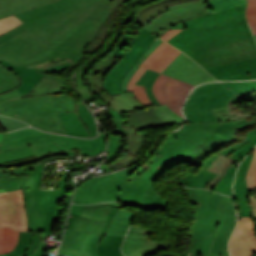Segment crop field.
Returning a JSON list of instances; mask_svg holds the SVG:
<instances>
[{"label": "crop field", "mask_w": 256, "mask_h": 256, "mask_svg": "<svg viewBox=\"0 0 256 256\" xmlns=\"http://www.w3.org/2000/svg\"><path fill=\"white\" fill-rule=\"evenodd\" d=\"M125 0H60L16 14L24 23L0 36V59L15 66L48 58L76 64ZM21 83L0 65V94Z\"/></svg>", "instance_id": "obj_1"}, {"label": "crop field", "mask_w": 256, "mask_h": 256, "mask_svg": "<svg viewBox=\"0 0 256 256\" xmlns=\"http://www.w3.org/2000/svg\"><path fill=\"white\" fill-rule=\"evenodd\" d=\"M245 7L242 4L182 22L187 28L167 42L185 51L205 69L254 58L256 43L247 25Z\"/></svg>", "instance_id": "obj_2"}, {"label": "crop field", "mask_w": 256, "mask_h": 256, "mask_svg": "<svg viewBox=\"0 0 256 256\" xmlns=\"http://www.w3.org/2000/svg\"><path fill=\"white\" fill-rule=\"evenodd\" d=\"M220 123L185 124L178 131L169 133L150 160L157 166L150 167L136 180L126 184L118 194L119 201L145 210L165 209L169 199H163L161 193L156 191V178L170 166L190 155Z\"/></svg>", "instance_id": "obj_3"}, {"label": "crop field", "mask_w": 256, "mask_h": 256, "mask_svg": "<svg viewBox=\"0 0 256 256\" xmlns=\"http://www.w3.org/2000/svg\"><path fill=\"white\" fill-rule=\"evenodd\" d=\"M43 165L44 163L39 165L38 171L30 173L22 187L28 219V231L34 232L32 244L23 254L25 256H47L43 252V239L47 238L48 235L54 234L56 235L55 239L60 240L64 229L66 216L62 220L61 232H51L53 223L58 221L62 210L57 203L63 198L68 189L67 176L61 175L59 191L39 190ZM72 191L68 193V197L63 202L66 208H68Z\"/></svg>", "instance_id": "obj_4"}, {"label": "crop field", "mask_w": 256, "mask_h": 256, "mask_svg": "<svg viewBox=\"0 0 256 256\" xmlns=\"http://www.w3.org/2000/svg\"><path fill=\"white\" fill-rule=\"evenodd\" d=\"M76 111L68 95H43L24 98L16 89L0 95V113L25 121L48 132L65 134L57 112Z\"/></svg>", "instance_id": "obj_5"}, {"label": "crop field", "mask_w": 256, "mask_h": 256, "mask_svg": "<svg viewBox=\"0 0 256 256\" xmlns=\"http://www.w3.org/2000/svg\"><path fill=\"white\" fill-rule=\"evenodd\" d=\"M27 144L30 145L36 157L33 156L34 158L5 163L3 166L38 160L51 153H71L94 156L104 151V136L99 133V137L95 139L82 140L43 133L33 128H25L5 134L0 145V152Z\"/></svg>", "instance_id": "obj_6"}, {"label": "crop field", "mask_w": 256, "mask_h": 256, "mask_svg": "<svg viewBox=\"0 0 256 256\" xmlns=\"http://www.w3.org/2000/svg\"><path fill=\"white\" fill-rule=\"evenodd\" d=\"M209 0H159L136 8V22L158 37L169 29L185 28L180 22L211 12L205 6Z\"/></svg>", "instance_id": "obj_7"}, {"label": "crop field", "mask_w": 256, "mask_h": 256, "mask_svg": "<svg viewBox=\"0 0 256 256\" xmlns=\"http://www.w3.org/2000/svg\"><path fill=\"white\" fill-rule=\"evenodd\" d=\"M141 164L142 162H139L121 171L85 181L77 190L73 203L93 204L105 201L119 202L117 199L119 190L132 179L129 178L130 175Z\"/></svg>", "instance_id": "obj_8"}, {"label": "crop field", "mask_w": 256, "mask_h": 256, "mask_svg": "<svg viewBox=\"0 0 256 256\" xmlns=\"http://www.w3.org/2000/svg\"><path fill=\"white\" fill-rule=\"evenodd\" d=\"M234 94L219 82L198 86L191 91L184 106L187 123L218 121L211 108L222 107Z\"/></svg>", "instance_id": "obj_9"}, {"label": "crop field", "mask_w": 256, "mask_h": 256, "mask_svg": "<svg viewBox=\"0 0 256 256\" xmlns=\"http://www.w3.org/2000/svg\"><path fill=\"white\" fill-rule=\"evenodd\" d=\"M126 122L128 125L122 128L129 133L125 135L128 146L124 149L122 156L111 164L115 171L142 158L137 154L143 147L144 139L143 136L136 135L137 130L166 125L151 108L127 113Z\"/></svg>", "instance_id": "obj_10"}, {"label": "crop field", "mask_w": 256, "mask_h": 256, "mask_svg": "<svg viewBox=\"0 0 256 256\" xmlns=\"http://www.w3.org/2000/svg\"><path fill=\"white\" fill-rule=\"evenodd\" d=\"M191 202L198 205L195 221L188 233L189 236L204 240L214 232L221 217L215 216L218 193L185 188Z\"/></svg>", "instance_id": "obj_11"}, {"label": "crop field", "mask_w": 256, "mask_h": 256, "mask_svg": "<svg viewBox=\"0 0 256 256\" xmlns=\"http://www.w3.org/2000/svg\"><path fill=\"white\" fill-rule=\"evenodd\" d=\"M155 35L146 29H142L132 49L126 56L108 73L104 87L112 94L122 93L121 81L126 73L138 62L145 51L150 48L157 39Z\"/></svg>", "instance_id": "obj_12"}, {"label": "crop field", "mask_w": 256, "mask_h": 256, "mask_svg": "<svg viewBox=\"0 0 256 256\" xmlns=\"http://www.w3.org/2000/svg\"><path fill=\"white\" fill-rule=\"evenodd\" d=\"M120 57L113 54H109L91 73L88 81L91 85L92 92L96 93L100 97V100L112 106L115 110L119 112H129L135 111L142 108V106L133 96L132 92H127L123 94L112 95L114 100L103 97L99 90L103 89V74L108 71L111 66L119 60Z\"/></svg>", "instance_id": "obj_13"}, {"label": "crop field", "mask_w": 256, "mask_h": 256, "mask_svg": "<svg viewBox=\"0 0 256 256\" xmlns=\"http://www.w3.org/2000/svg\"><path fill=\"white\" fill-rule=\"evenodd\" d=\"M0 64L7 67L13 73H15L22 81L17 90L25 97L28 92L47 74L45 72H57L64 71L70 63L67 60L52 64L48 59L42 60L38 63L29 64L25 66L15 67L9 63L0 60Z\"/></svg>", "instance_id": "obj_14"}, {"label": "crop field", "mask_w": 256, "mask_h": 256, "mask_svg": "<svg viewBox=\"0 0 256 256\" xmlns=\"http://www.w3.org/2000/svg\"><path fill=\"white\" fill-rule=\"evenodd\" d=\"M193 87L160 74L152 87V91L160 104L166 103L173 111L182 116L181 107Z\"/></svg>", "instance_id": "obj_15"}, {"label": "crop field", "mask_w": 256, "mask_h": 256, "mask_svg": "<svg viewBox=\"0 0 256 256\" xmlns=\"http://www.w3.org/2000/svg\"><path fill=\"white\" fill-rule=\"evenodd\" d=\"M0 226L27 231L22 189L0 194Z\"/></svg>", "instance_id": "obj_16"}, {"label": "crop field", "mask_w": 256, "mask_h": 256, "mask_svg": "<svg viewBox=\"0 0 256 256\" xmlns=\"http://www.w3.org/2000/svg\"><path fill=\"white\" fill-rule=\"evenodd\" d=\"M162 73L194 86L216 80L182 53Z\"/></svg>", "instance_id": "obj_17"}, {"label": "crop field", "mask_w": 256, "mask_h": 256, "mask_svg": "<svg viewBox=\"0 0 256 256\" xmlns=\"http://www.w3.org/2000/svg\"><path fill=\"white\" fill-rule=\"evenodd\" d=\"M149 231L153 230L138 226H131L122 246L124 255L147 256L164 251L165 246L163 244L148 240L149 236L146 234Z\"/></svg>", "instance_id": "obj_18"}, {"label": "crop field", "mask_w": 256, "mask_h": 256, "mask_svg": "<svg viewBox=\"0 0 256 256\" xmlns=\"http://www.w3.org/2000/svg\"><path fill=\"white\" fill-rule=\"evenodd\" d=\"M255 124L256 115L242 119L222 122L199 146V148H203L213 152L217 146L237 140V131L243 130L248 125H251V127H253Z\"/></svg>", "instance_id": "obj_19"}, {"label": "crop field", "mask_w": 256, "mask_h": 256, "mask_svg": "<svg viewBox=\"0 0 256 256\" xmlns=\"http://www.w3.org/2000/svg\"><path fill=\"white\" fill-rule=\"evenodd\" d=\"M238 218L241 221H238L230 239V254L231 256H252V251L256 252V232L253 227V221L249 218Z\"/></svg>", "instance_id": "obj_20"}, {"label": "crop field", "mask_w": 256, "mask_h": 256, "mask_svg": "<svg viewBox=\"0 0 256 256\" xmlns=\"http://www.w3.org/2000/svg\"><path fill=\"white\" fill-rule=\"evenodd\" d=\"M238 164L239 161L228 159L220 155L208 168V170L219 175L207 184L206 189L233 196L232 181Z\"/></svg>", "instance_id": "obj_21"}, {"label": "crop field", "mask_w": 256, "mask_h": 256, "mask_svg": "<svg viewBox=\"0 0 256 256\" xmlns=\"http://www.w3.org/2000/svg\"><path fill=\"white\" fill-rule=\"evenodd\" d=\"M207 71L221 80L256 79V58L215 66Z\"/></svg>", "instance_id": "obj_22"}, {"label": "crop field", "mask_w": 256, "mask_h": 256, "mask_svg": "<svg viewBox=\"0 0 256 256\" xmlns=\"http://www.w3.org/2000/svg\"><path fill=\"white\" fill-rule=\"evenodd\" d=\"M96 235L66 229L61 253L69 256H91L90 247Z\"/></svg>", "instance_id": "obj_23"}, {"label": "crop field", "mask_w": 256, "mask_h": 256, "mask_svg": "<svg viewBox=\"0 0 256 256\" xmlns=\"http://www.w3.org/2000/svg\"><path fill=\"white\" fill-rule=\"evenodd\" d=\"M129 226L113 221L106 233L107 236L98 245L99 256H123L120 246Z\"/></svg>", "instance_id": "obj_24"}, {"label": "crop field", "mask_w": 256, "mask_h": 256, "mask_svg": "<svg viewBox=\"0 0 256 256\" xmlns=\"http://www.w3.org/2000/svg\"><path fill=\"white\" fill-rule=\"evenodd\" d=\"M253 152L254 150L251 151L240 164L234 183L236 211H240V216L249 218H251V212L246 198L248 195V190L245 182V174L250 164Z\"/></svg>", "instance_id": "obj_25"}, {"label": "crop field", "mask_w": 256, "mask_h": 256, "mask_svg": "<svg viewBox=\"0 0 256 256\" xmlns=\"http://www.w3.org/2000/svg\"><path fill=\"white\" fill-rule=\"evenodd\" d=\"M121 206L123 205H119L115 202H106L87 206H78L73 204L70 213L80 216L111 220Z\"/></svg>", "instance_id": "obj_26"}, {"label": "crop field", "mask_w": 256, "mask_h": 256, "mask_svg": "<svg viewBox=\"0 0 256 256\" xmlns=\"http://www.w3.org/2000/svg\"><path fill=\"white\" fill-rule=\"evenodd\" d=\"M235 224H236V212L233 207V198H232L223 227L212 244L211 251H210L211 254L229 255L228 249H227V241L235 227Z\"/></svg>", "instance_id": "obj_27"}, {"label": "crop field", "mask_w": 256, "mask_h": 256, "mask_svg": "<svg viewBox=\"0 0 256 256\" xmlns=\"http://www.w3.org/2000/svg\"><path fill=\"white\" fill-rule=\"evenodd\" d=\"M111 221L69 215L68 229L84 231L94 234H105Z\"/></svg>", "instance_id": "obj_28"}, {"label": "crop field", "mask_w": 256, "mask_h": 256, "mask_svg": "<svg viewBox=\"0 0 256 256\" xmlns=\"http://www.w3.org/2000/svg\"><path fill=\"white\" fill-rule=\"evenodd\" d=\"M56 0H0V18Z\"/></svg>", "instance_id": "obj_29"}, {"label": "crop field", "mask_w": 256, "mask_h": 256, "mask_svg": "<svg viewBox=\"0 0 256 256\" xmlns=\"http://www.w3.org/2000/svg\"><path fill=\"white\" fill-rule=\"evenodd\" d=\"M66 84V81L58 76L47 75L32 89L30 93H28L26 97L61 92Z\"/></svg>", "instance_id": "obj_30"}, {"label": "crop field", "mask_w": 256, "mask_h": 256, "mask_svg": "<svg viewBox=\"0 0 256 256\" xmlns=\"http://www.w3.org/2000/svg\"><path fill=\"white\" fill-rule=\"evenodd\" d=\"M58 114L66 129L67 135L89 137L88 132L77 112H62Z\"/></svg>", "instance_id": "obj_31"}, {"label": "crop field", "mask_w": 256, "mask_h": 256, "mask_svg": "<svg viewBox=\"0 0 256 256\" xmlns=\"http://www.w3.org/2000/svg\"><path fill=\"white\" fill-rule=\"evenodd\" d=\"M233 102L242 103V101L235 94L233 97L229 98V100L224 104L222 108L212 109L215 116L219 119V121L237 119V118H242V117L256 114V113H252V114L235 113L231 111L230 107H234L232 106Z\"/></svg>", "instance_id": "obj_32"}, {"label": "crop field", "mask_w": 256, "mask_h": 256, "mask_svg": "<svg viewBox=\"0 0 256 256\" xmlns=\"http://www.w3.org/2000/svg\"><path fill=\"white\" fill-rule=\"evenodd\" d=\"M146 68L140 67L136 73L132 76L130 83L128 85V91H132L136 99L144 106L152 105V102L148 98L144 86L135 84L141 75L145 72Z\"/></svg>", "instance_id": "obj_33"}, {"label": "crop field", "mask_w": 256, "mask_h": 256, "mask_svg": "<svg viewBox=\"0 0 256 256\" xmlns=\"http://www.w3.org/2000/svg\"><path fill=\"white\" fill-rule=\"evenodd\" d=\"M220 83L227 89H232L241 100L248 97L249 94L256 92V81Z\"/></svg>", "instance_id": "obj_34"}, {"label": "crop field", "mask_w": 256, "mask_h": 256, "mask_svg": "<svg viewBox=\"0 0 256 256\" xmlns=\"http://www.w3.org/2000/svg\"><path fill=\"white\" fill-rule=\"evenodd\" d=\"M30 147L27 145L18 149L0 153V165L5 162L18 161L26 158L33 157Z\"/></svg>", "instance_id": "obj_35"}, {"label": "crop field", "mask_w": 256, "mask_h": 256, "mask_svg": "<svg viewBox=\"0 0 256 256\" xmlns=\"http://www.w3.org/2000/svg\"><path fill=\"white\" fill-rule=\"evenodd\" d=\"M77 112L79 113L80 117L82 118L84 124L86 125L90 137L95 136L97 132V127L94 121V118L88 108L85 106L83 102L76 103ZM77 113V114H78Z\"/></svg>", "instance_id": "obj_36"}, {"label": "crop field", "mask_w": 256, "mask_h": 256, "mask_svg": "<svg viewBox=\"0 0 256 256\" xmlns=\"http://www.w3.org/2000/svg\"><path fill=\"white\" fill-rule=\"evenodd\" d=\"M153 111L167 124H174L184 122V118L174 113L166 104L160 105L153 109Z\"/></svg>", "instance_id": "obj_37"}, {"label": "crop field", "mask_w": 256, "mask_h": 256, "mask_svg": "<svg viewBox=\"0 0 256 256\" xmlns=\"http://www.w3.org/2000/svg\"><path fill=\"white\" fill-rule=\"evenodd\" d=\"M19 237V232L11 228H3V243L1 253L10 252L14 249Z\"/></svg>", "instance_id": "obj_38"}, {"label": "crop field", "mask_w": 256, "mask_h": 256, "mask_svg": "<svg viewBox=\"0 0 256 256\" xmlns=\"http://www.w3.org/2000/svg\"><path fill=\"white\" fill-rule=\"evenodd\" d=\"M217 174L212 173L208 170H200L197 174L193 176L190 182L187 184L189 187H197V188H204L210 180L214 179Z\"/></svg>", "instance_id": "obj_39"}, {"label": "crop field", "mask_w": 256, "mask_h": 256, "mask_svg": "<svg viewBox=\"0 0 256 256\" xmlns=\"http://www.w3.org/2000/svg\"><path fill=\"white\" fill-rule=\"evenodd\" d=\"M158 75H159V73L147 69L146 72L142 75V77L137 82V84L146 86V91H147L151 101L156 106H158L160 104L157 102V100L153 96L152 91H151V86H152L153 82L155 81V79L158 77Z\"/></svg>", "instance_id": "obj_40"}, {"label": "crop field", "mask_w": 256, "mask_h": 256, "mask_svg": "<svg viewBox=\"0 0 256 256\" xmlns=\"http://www.w3.org/2000/svg\"><path fill=\"white\" fill-rule=\"evenodd\" d=\"M108 133V155L106 158V163H108L110 160L114 159L118 153L120 152V149L122 147V138L117 135H112L111 131Z\"/></svg>", "instance_id": "obj_41"}, {"label": "crop field", "mask_w": 256, "mask_h": 256, "mask_svg": "<svg viewBox=\"0 0 256 256\" xmlns=\"http://www.w3.org/2000/svg\"><path fill=\"white\" fill-rule=\"evenodd\" d=\"M171 47L172 46L163 41L140 66L151 69Z\"/></svg>", "instance_id": "obj_42"}, {"label": "crop field", "mask_w": 256, "mask_h": 256, "mask_svg": "<svg viewBox=\"0 0 256 256\" xmlns=\"http://www.w3.org/2000/svg\"><path fill=\"white\" fill-rule=\"evenodd\" d=\"M33 233H22L20 232L19 242L11 253L0 254V256H17L25 252L29 247L32 240Z\"/></svg>", "instance_id": "obj_43"}, {"label": "crop field", "mask_w": 256, "mask_h": 256, "mask_svg": "<svg viewBox=\"0 0 256 256\" xmlns=\"http://www.w3.org/2000/svg\"><path fill=\"white\" fill-rule=\"evenodd\" d=\"M26 176H7V177H0V189L4 188L5 191H11L19 189Z\"/></svg>", "instance_id": "obj_44"}, {"label": "crop field", "mask_w": 256, "mask_h": 256, "mask_svg": "<svg viewBox=\"0 0 256 256\" xmlns=\"http://www.w3.org/2000/svg\"><path fill=\"white\" fill-rule=\"evenodd\" d=\"M242 3H246V0H211L206 6L217 12Z\"/></svg>", "instance_id": "obj_45"}, {"label": "crop field", "mask_w": 256, "mask_h": 256, "mask_svg": "<svg viewBox=\"0 0 256 256\" xmlns=\"http://www.w3.org/2000/svg\"><path fill=\"white\" fill-rule=\"evenodd\" d=\"M180 53L181 52L172 47L152 70L161 73Z\"/></svg>", "instance_id": "obj_46"}, {"label": "crop field", "mask_w": 256, "mask_h": 256, "mask_svg": "<svg viewBox=\"0 0 256 256\" xmlns=\"http://www.w3.org/2000/svg\"><path fill=\"white\" fill-rule=\"evenodd\" d=\"M162 40L159 38L154 42V44L151 46V48L145 53V55L139 60V62L129 71V73L126 75L122 82V88L123 91H127V84L131 78V76L135 73V71L138 69L139 65L152 53L154 49H156L160 44Z\"/></svg>", "instance_id": "obj_47"}, {"label": "crop field", "mask_w": 256, "mask_h": 256, "mask_svg": "<svg viewBox=\"0 0 256 256\" xmlns=\"http://www.w3.org/2000/svg\"><path fill=\"white\" fill-rule=\"evenodd\" d=\"M135 38L136 37L125 34L112 53L123 58L124 55L130 50Z\"/></svg>", "instance_id": "obj_48"}, {"label": "crop field", "mask_w": 256, "mask_h": 256, "mask_svg": "<svg viewBox=\"0 0 256 256\" xmlns=\"http://www.w3.org/2000/svg\"><path fill=\"white\" fill-rule=\"evenodd\" d=\"M36 167H37V163L26 165V166H20V167H16V168H11V169H4V167L1 166L0 176L27 175L29 171L36 170Z\"/></svg>", "instance_id": "obj_49"}, {"label": "crop field", "mask_w": 256, "mask_h": 256, "mask_svg": "<svg viewBox=\"0 0 256 256\" xmlns=\"http://www.w3.org/2000/svg\"><path fill=\"white\" fill-rule=\"evenodd\" d=\"M256 134V125L251 128V131L248 132L246 138L244 140H242L239 143L236 144H232L231 146L227 147L226 149H222L223 151L219 152L218 154H222L224 156H229L231 153H233L234 151H236L237 149H239L240 147H242L244 144H246L247 142H249L251 140V138Z\"/></svg>", "instance_id": "obj_50"}, {"label": "crop field", "mask_w": 256, "mask_h": 256, "mask_svg": "<svg viewBox=\"0 0 256 256\" xmlns=\"http://www.w3.org/2000/svg\"><path fill=\"white\" fill-rule=\"evenodd\" d=\"M97 58H95L89 65H87L78 75L77 81H78V89L80 91V93L82 94V96L84 97V99L87 101L90 100H94L95 98L89 93V91H87V89L84 87V83H83V77L85 75V73L87 72V70L90 68V66L94 63V61Z\"/></svg>", "instance_id": "obj_51"}, {"label": "crop field", "mask_w": 256, "mask_h": 256, "mask_svg": "<svg viewBox=\"0 0 256 256\" xmlns=\"http://www.w3.org/2000/svg\"><path fill=\"white\" fill-rule=\"evenodd\" d=\"M0 125L8 132L17 130L23 127H27L28 125L23 122H19L14 119H10L7 117L0 116Z\"/></svg>", "instance_id": "obj_52"}, {"label": "crop field", "mask_w": 256, "mask_h": 256, "mask_svg": "<svg viewBox=\"0 0 256 256\" xmlns=\"http://www.w3.org/2000/svg\"><path fill=\"white\" fill-rule=\"evenodd\" d=\"M209 153H212V152L197 148L196 150H194L192 152V154L190 156L186 157L181 162H188V163H190L192 165L199 166L201 159H203L206 156H208Z\"/></svg>", "instance_id": "obj_53"}, {"label": "crop field", "mask_w": 256, "mask_h": 256, "mask_svg": "<svg viewBox=\"0 0 256 256\" xmlns=\"http://www.w3.org/2000/svg\"><path fill=\"white\" fill-rule=\"evenodd\" d=\"M23 23L14 15L0 19V35Z\"/></svg>", "instance_id": "obj_54"}, {"label": "crop field", "mask_w": 256, "mask_h": 256, "mask_svg": "<svg viewBox=\"0 0 256 256\" xmlns=\"http://www.w3.org/2000/svg\"><path fill=\"white\" fill-rule=\"evenodd\" d=\"M254 109H256V106L253 107ZM256 145V135L252 138V140L247 143L246 145H244L242 148H240L239 150H237L236 152H234L232 155H230L228 158H232L235 160H239L241 161L246 155L247 153Z\"/></svg>", "instance_id": "obj_55"}, {"label": "crop field", "mask_w": 256, "mask_h": 256, "mask_svg": "<svg viewBox=\"0 0 256 256\" xmlns=\"http://www.w3.org/2000/svg\"><path fill=\"white\" fill-rule=\"evenodd\" d=\"M255 168H256V148H255V153L252 157L251 164L246 174L247 187H248V190L250 191L255 190L254 183H253V173L255 171Z\"/></svg>", "instance_id": "obj_56"}, {"label": "crop field", "mask_w": 256, "mask_h": 256, "mask_svg": "<svg viewBox=\"0 0 256 256\" xmlns=\"http://www.w3.org/2000/svg\"><path fill=\"white\" fill-rule=\"evenodd\" d=\"M246 17L254 34H256V4L248 5Z\"/></svg>", "instance_id": "obj_57"}, {"label": "crop field", "mask_w": 256, "mask_h": 256, "mask_svg": "<svg viewBox=\"0 0 256 256\" xmlns=\"http://www.w3.org/2000/svg\"><path fill=\"white\" fill-rule=\"evenodd\" d=\"M230 199H231L230 197L220 194L216 215L223 216V217L226 216Z\"/></svg>", "instance_id": "obj_58"}, {"label": "crop field", "mask_w": 256, "mask_h": 256, "mask_svg": "<svg viewBox=\"0 0 256 256\" xmlns=\"http://www.w3.org/2000/svg\"><path fill=\"white\" fill-rule=\"evenodd\" d=\"M224 219L225 218H221L220 222H219V225L216 229V231L211 234L208 238H206L204 240V245H203V251H202V254H209V251H210V247H211V244L214 240V238L216 237V235L218 234V232L220 231L221 227H222V224L224 222Z\"/></svg>", "instance_id": "obj_59"}, {"label": "crop field", "mask_w": 256, "mask_h": 256, "mask_svg": "<svg viewBox=\"0 0 256 256\" xmlns=\"http://www.w3.org/2000/svg\"><path fill=\"white\" fill-rule=\"evenodd\" d=\"M133 216H134V213H132L128 210H123L121 208L117 212V214L114 216L113 220L130 224L131 221H132Z\"/></svg>", "instance_id": "obj_60"}, {"label": "crop field", "mask_w": 256, "mask_h": 256, "mask_svg": "<svg viewBox=\"0 0 256 256\" xmlns=\"http://www.w3.org/2000/svg\"><path fill=\"white\" fill-rule=\"evenodd\" d=\"M202 245L203 241L191 238V241L188 245V254L191 253H196V254H201L202 251Z\"/></svg>", "instance_id": "obj_61"}, {"label": "crop field", "mask_w": 256, "mask_h": 256, "mask_svg": "<svg viewBox=\"0 0 256 256\" xmlns=\"http://www.w3.org/2000/svg\"><path fill=\"white\" fill-rule=\"evenodd\" d=\"M131 15H132V10H131L130 13L128 14V16L126 17V19L124 20V22H123V21H122V22L125 23V22L129 21V20L131 19ZM123 23H122V25H123ZM120 25H121V24H120ZM122 25H121V27L119 26L120 29L118 30V32L116 33V35H115V36L113 37V39L111 40V42L109 43L108 47H107L100 55H98L97 58H99L100 56H102L105 52H107V51L112 47V45H113L115 39L118 37V35H119L120 32H121Z\"/></svg>", "instance_id": "obj_62"}, {"label": "crop field", "mask_w": 256, "mask_h": 256, "mask_svg": "<svg viewBox=\"0 0 256 256\" xmlns=\"http://www.w3.org/2000/svg\"><path fill=\"white\" fill-rule=\"evenodd\" d=\"M248 201L252 211V218L256 217V195L255 196H248Z\"/></svg>", "instance_id": "obj_63"}, {"label": "crop field", "mask_w": 256, "mask_h": 256, "mask_svg": "<svg viewBox=\"0 0 256 256\" xmlns=\"http://www.w3.org/2000/svg\"><path fill=\"white\" fill-rule=\"evenodd\" d=\"M101 237H102V235H97V237H96V239H95V241H94V243L92 245V248H91L92 256H98L97 255V244H98V242H99Z\"/></svg>", "instance_id": "obj_64"}, {"label": "crop field", "mask_w": 256, "mask_h": 256, "mask_svg": "<svg viewBox=\"0 0 256 256\" xmlns=\"http://www.w3.org/2000/svg\"><path fill=\"white\" fill-rule=\"evenodd\" d=\"M181 30H169L161 38L167 41L168 39H170L172 36H174L176 33H178Z\"/></svg>", "instance_id": "obj_65"}, {"label": "crop field", "mask_w": 256, "mask_h": 256, "mask_svg": "<svg viewBox=\"0 0 256 256\" xmlns=\"http://www.w3.org/2000/svg\"><path fill=\"white\" fill-rule=\"evenodd\" d=\"M147 168L140 166L132 175L134 179H136L143 171H145Z\"/></svg>", "instance_id": "obj_66"}, {"label": "crop field", "mask_w": 256, "mask_h": 256, "mask_svg": "<svg viewBox=\"0 0 256 256\" xmlns=\"http://www.w3.org/2000/svg\"><path fill=\"white\" fill-rule=\"evenodd\" d=\"M218 154L212 155L204 164L203 168L207 169V167L218 157Z\"/></svg>", "instance_id": "obj_67"}, {"label": "crop field", "mask_w": 256, "mask_h": 256, "mask_svg": "<svg viewBox=\"0 0 256 256\" xmlns=\"http://www.w3.org/2000/svg\"><path fill=\"white\" fill-rule=\"evenodd\" d=\"M192 173V172H191ZM188 174V175H186V176H183V178H182V180H181V183H183L184 185H186L188 182H189V180L192 178V176H193V174Z\"/></svg>", "instance_id": "obj_68"}, {"label": "crop field", "mask_w": 256, "mask_h": 256, "mask_svg": "<svg viewBox=\"0 0 256 256\" xmlns=\"http://www.w3.org/2000/svg\"><path fill=\"white\" fill-rule=\"evenodd\" d=\"M1 242H2V228H0V250H1Z\"/></svg>", "instance_id": "obj_69"}, {"label": "crop field", "mask_w": 256, "mask_h": 256, "mask_svg": "<svg viewBox=\"0 0 256 256\" xmlns=\"http://www.w3.org/2000/svg\"><path fill=\"white\" fill-rule=\"evenodd\" d=\"M256 3V0H248V4Z\"/></svg>", "instance_id": "obj_70"}, {"label": "crop field", "mask_w": 256, "mask_h": 256, "mask_svg": "<svg viewBox=\"0 0 256 256\" xmlns=\"http://www.w3.org/2000/svg\"><path fill=\"white\" fill-rule=\"evenodd\" d=\"M254 182H255V186H256V171L254 173Z\"/></svg>", "instance_id": "obj_71"}, {"label": "crop field", "mask_w": 256, "mask_h": 256, "mask_svg": "<svg viewBox=\"0 0 256 256\" xmlns=\"http://www.w3.org/2000/svg\"><path fill=\"white\" fill-rule=\"evenodd\" d=\"M189 256H211V255H189Z\"/></svg>", "instance_id": "obj_72"}, {"label": "crop field", "mask_w": 256, "mask_h": 256, "mask_svg": "<svg viewBox=\"0 0 256 256\" xmlns=\"http://www.w3.org/2000/svg\"><path fill=\"white\" fill-rule=\"evenodd\" d=\"M75 65L74 64H72L69 68H67L66 69V71L68 70V69H70V68H72V67H74Z\"/></svg>", "instance_id": "obj_73"}, {"label": "crop field", "mask_w": 256, "mask_h": 256, "mask_svg": "<svg viewBox=\"0 0 256 256\" xmlns=\"http://www.w3.org/2000/svg\"><path fill=\"white\" fill-rule=\"evenodd\" d=\"M2 136H3V134H0V141H1Z\"/></svg>", "instance_id": "obj_74"}, {"label": "crop field", "mask_w": 256, "mask_h": 256, "mask_svg": "<svg viewBox=\"0 0 256 256\" xmlns=\"http://www.w3.org/2000/svg\"><path fill=\"white\" fill-rule=\"evenodd\" d=\"M0 192H4V189H1Z\"/></svg>", "instance_id": "obj_75"}, {"label": "crop field", "mask_w": 256, "mask_h": 256, "mask_svg": "<svg viewBox=\"0 0 256 256\" xmlns=\"http://www.w3.org/2000/svg\"><path fill=\"white\" fill-rule=\"evenodd\" d=\"M58 256H65V255L58 254Z\"/></svg>", "instance_id": "obj_76"}, {"label": "crop field", "mask_w": 256, "mask_h": 256, "mask_svg": "<svg viewBox=\"0 0 256 256\" xmlns=\"http://www.w3.org/2000/svg\"><path fill=\"white\" fill-rule=\"evenodd\" d=\"M255 36V38H256V35H254Z\"/></svg>", "instance_id": "obj_77"}, {"label": "crop field", "mask_w": 256, "mask_h": 256, "mask_svg": "<svg viewBox=\"0 0 256 256\" xmlns=\"http://www.w3.org/2000/svg\"><path fill=\"white\" fill-rule=\"evenodd\" d=\"M21 256H23V255H21Z\"/></svg>", "instance_id": "obj_78"}]
</instances>
